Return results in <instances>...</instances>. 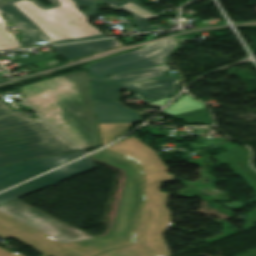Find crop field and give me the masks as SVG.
I'll use <instances>...</instances> for the list:
<instances>
[{
  "mask_svg": "<svg viewBox=\"0 0 256 256\" xmlns=\"http://www.w3.org/2000/svg\"><path fill=\"white\" fill-rule=\"evenodd\" d=\"M45 7L36 0H11L0 4V15L5 14L24 34L23 47L47 40L49 44L105 37L85 20L97 13L96 0H51ZM81 5L89 7L79 12ZM0 17V50L20 48L5 28Z\"/></svg>",
  "mask_w": 256,
  "mask_h": 256,
  "instance_id": "8a807250",
  "label": "crop field"
},
{
  "mask_svg": "<svg viewBox=\"0 0 256 256\" xmlns=\"http://www.w3.org/2000/svg\"><path fill=\"white\" fill-rule=\"evenodd\" d=\"M88 71L21 86L25 99L81 148L100 145Z\"/></svg>",
  "mask_w": 256,
  "mask_h": 256,
  "instance_id": "ac0d7876",
  "label": "crop field"
},
{
  "mask_svg": "<svg viewBox=\"0 0 256 256\" xmlns=\"http://www.w3.org/2000/svg\"><path fill=\"white\" fill-rule=\"evenodd\" d=\"M79 150L39 117L0 100V166Z\"/></svg>",
  "mask_w": 256,
  "mask_h": 256,
  "instance_id": "34b2d1b8",
  "label": "crop field"
},
{
  "mask_svg": "<svg viewBox=\"0 0 256 256\" xmlns=\"http://www.w3.org/2000/svg\"><path fill=\"white\" fill-rule=\"evenodd\" d=\"M179 43L173 37L148 44L138 50L115 55L88 66L90 76L103 77L124 70L140 69L166 63L169 52Z\"/></svg>",
  "mask_w": 256,
  "mask_h": 256,
  "instance_id": "412701ff",
  "label": "crop field"
},
{
  "mask_svg": "<svg viewBox=\"0 0 256 256\" xmlns=\"http://www.w3.org/2000/svg\"><path fill=\"white\" fill-rule=\"evenodd\" d=\"M176 75L133 83L90 82L93 100H119V89L135 90L151 102L171 97L178 86Z\"/></svg>",
  "mask_w": 256,
  "mask_h": 256,
  "instance_id": "f4fd0767",
  "label": "crop field"
},
{
  "mask_svg": "<svg viewBox=\"0 0 256 256\" xmlns=\"http://www.w3.org/2000/svg\"><path fill=\"white\" fill-rule=\"evenodd\" d=\"M83 154L82 151H79L0 167V190Z\"/></svg>",
  "mask_w": 256,
  "mask_h": 256,
  "instance_id": "dd49c442",
  "label": "crop field"
},
{
  "mask_svg": "<svg viewBox=\"0 0 256 256\" xmlns=\"http://www.w3.org/2000/svg\"><path fill=\"white\" fill-rule=\"evenodd\" d=\"M94 168L87 156L62 168L0 193V204Z\"/></svg>",
  "mask_w": 256,
  "mask_h": 256,
  "instance_id": "e52e79f7",
  "label": "crop field"
},
{
  "mask_svg": "<svg viewBox=\"0 0 256 256\" xmlns=\"http://www.w3.org/2000/svg\"><path fill=\"white\" fill-rule=\"evenodd\" d=\"M97 123L137 122V113L128 110L119 101H93Z\"/></svg>",
  "mask_w": 256,
  "mask_h": 256,
  "instance_id": "d8731c3e",
  "label": "crop field"
},
{
  "mask_svg": "<svg viewBox=\"0 0 256 256\" xmlns=\"http://www.w3.org/2000/svg\"><path fill=\"white\" fill-rule=\"evenodd\" d=\"M101 1L104 3H108L111 7L115 9L126 10L132 13L135 17V19L132 21L135 26L139 27V32L152 30L148 19L158 16L154 12L140 5L139 1L137 0H124L122 2L116 0Z\"/></svg>",
  "mask_w": 256,
  "mask_h": 256,
  "instance_id": "5a996713",
  "label": "crop field"
},
{
  "mask_svg": "<svg viewBox=\"0 0 256 256\" xmlns=\"http://www.w3.org/2000/svg\"><path fill=\"white\" fill-rule=\"evenodd\" d=\"M118 46L114 39L54 46V50L67 60L97 52L110 47Z\"/></svg>",
  "mask_w": 256,
  "mask_h": 256,
  "instance_id": "3316defc",
  "label": "crop field"
},
{
  "mask_svg": "<svg viewBox=\"0 0 256 256\" xmlns=\"http://www.w3.org/2000/svg\"><path fill=\"white\" fill-rule=\"evenodd\" d=\"M169 69L166 64L140 69V70H132L125 71L118 74H114L107 78H96L89 77L90 81H105V82H131L135 80L155 78L159 76H164L163 71Z\"/></svg>",
  "mask_w": 256,
  "mask_h": 256,
  "instance_id": "28ad6ade",
  "label": "crop field"
},
{
  "mask_svg": "<svg viewBox=\"0 0 256 256\" xmlns=\"http://www.w3.org/2000/svg\"><path fill=\"white\" fill-rule=\"evenodd\" d=\"M202 107H205V106L200 104L198 101L190 98L189 96L184 95L176 103H174L171 107L164 110L163 112L169 115H173V114L190 111V110H194Z\"/></svg>",
  "mask_w": 256,
  "mask_h": 256,
  "instance_id": "d1516ede",
  "label": "crop field"
},
{
  "mask_svg": "<svg viewBox=\"0 0 256 256\" xmlns=\"http://www.w3.org/2000/svg\"><path fill=\"white\" fill-rule=\"evenodd\" d=\"M170 98L167 99H163V100H159V101H155V102H151V103H155V104H159V105H163L167 100H169Z\"/></svg>",
  "mask_w": 256,
  "mask_h": 256,
  "instance_id": "22f410ed",
  "label": "crop field"
},
{
  "mask_svg": "<svg viewBox=\"0 0 256 256\" xmlns=\"http://www.w3.org/2000/svg\"><path fill=\"white\" fill-rule=\"evenodd\" d=\"M5 1H8V0H0V3L5 2Z\"/></svg>",
  "mask_w": 256,
  "mask_h": 256,
  "instance_id": "cbeb9de0",
  "label": "crop field"
}]
</instances>
